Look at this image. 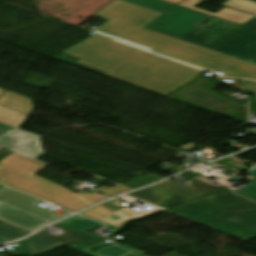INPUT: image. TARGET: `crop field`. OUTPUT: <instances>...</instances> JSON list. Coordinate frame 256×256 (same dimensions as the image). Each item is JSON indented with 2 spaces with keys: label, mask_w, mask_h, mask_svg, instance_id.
<instances>
[{
  "label": "crop field",
  "mask_w": 256,
  "mask_h": 256,
  "mask_svg": "<svg viewBox=\"0 0 256 256\" xmlns=\"http://www.w3.org/2000/svg\"><path fill=\"white\" fill-rule=\"evenodd\" d=\"M63 53L81 58L78 63L108 72L104 76L163 96L206 71L98 34Z\"/></svg>",
  "instance_id": "1"
},
{
  "label": "crop field",
  "mask_w": 256,
  "mask_h": 256,
  "mask_svg": "<svg viewBox=\"0 0 256 256\" xmlns=\"http://www.w3.org/2000/svg\"><path fill=\"white\" fill-rule=\"evenodd\" d=\"M160 13L115 0L95 16L110 20L95 32L229 76L256 80V65L144 29Z\"/></svg>",
  "instance_id": "2"
},
{
  "label": "crop field",
  "mask_w": 256,
  "mask_h": 256,
  "mask_svg": "<svg viewBox=\"0 0 256 256\" xmlns=\"http://www.w3.org/2000/svg\"><path fill=\"white\" fill-rule=\"evenodd\" d=\"M210 16L176 5L146 27L246 61L256 58V30L218 18L197 26Z\"/></svg>",
  "instance_id": "3"
},
{
  "label": "crop field",
  "mask_w": 256,
  "mask_h": 256,
  "mask_svg": "<svg viewBox=\"0 0 256 256\" xmlns=\"http://www.w3.org/2000/svg\"><path fill=\"white\" fill-rule=\"evenodd\" d=\"M167 210L244 240L256 237V203L232 192L211 194Z\"/></svg>",
  "instance_id": "4"
},
{
  "label": "crop field",
  "mask_w": 256,
  "mask_h": 256,
  "mask_svg": "<svg viewBox=\"0 0 256 256\" xmlns=\"http://www.w3.org/2000/svg\"><path fill=\"white\" fill-rule=\"evenodd\" d=\"M47 165L18 154H11L0 161V182L51 202L78 211L104 199L102 195L75 194L46 180L33 176Z\"/></svg>",
  "instance_id": "5"
},
{
  "label": "crop field",
  "mask_w": 256,
  "mask_h": 256,
  "mask_svg": "<svg viewBox=\"0 0 256 256\" xmlns=\"http://www.w3.org/2000/svg\"><path fill=\"white\" fill-rule=\"evenodd\" d=\"M126 204L120 205L117 200H110L81 214L97 219L103 223L114 227H121L122 224L133 218L146 216L145 214L125 207Z\"/></svg>",
  "instance_id": "6"
},
{
  "label": "crop field",
  "mask_w": 256,
  "mask_h": 256,
  "mask_svg": "<svg viewBox=\"0 0 256 256\" xmlns=\"http://www.w3.org/2000/svg\"><path fill=\"white\" fill-rule=\"evenodd\" d=\"M0 200L55 221L59 218L67 216L71 213L65 212L61 215H58L54 212H51L47 209H44L36 204L42 202L32 196L26 195L24 193L18 192L16 190L10 189L8 187L0 188Z\"/></svg>",
  "instance_id": "7"
},
{
  "label": "crop field",
  "mask_w": 256,
  "mask_h": 256,
  "mask_svg": "<svg viewBox=\"0 0 256 256\" xmlns=\"http://www.w3.org/2000/svg\"><path fill=\"white\" fill-rule=\"evenodd\" d=\"M0 145L34 159L43 154L39 138L19 130L0 137Z\"/></svg>",
  "instance_id": "8"
},
{
  "label": "crop field",
  "mask_w": 256,
  "mask_h": 256,
  "mask_svg": "<svg viewBox=\"0 0 256 256\" xmlns=\"http://www.w3.org/2000/svg\"><path fill=\"white\" fill-rule=\"evenodd\" d=\"M0 218L32 232L52 222L2 201H0Z\"/></svg>",
  "instance_id": "9"
},
{
  "label": "crop field",
  "mask_w": 256,
  "mask_h": 256,
  "mask_svg": "<svg viewBox=\"0 0 256 256\" xmlns=\"http://www.w3.org/2000/svg\"><path fill=\"white\" fill-rule=\"evenodd\" d=\"M132 197L147 201L159 207H166L170 204L186 201L188 199L176 194L167 192L158 187H149L144 190L129 194Z\"/></svg>",
  "instance_id": "10"
},
{
  "label": "crop field",
  "mask_w": 256,
  "mask_h": 256,
  "mask_svg": "<svg viewBox=\"0 0 256 256\" xmlns=\"http://www.w3.org/2000/svg\"><path fill=\"white\" fill-rule=\"evenodd\" d=\"M202 1L203 0H184V1L180 2L178 5L185 6V7L191 8V9H195V10H198V11H201V12H204V13H208V14H211V15L216 16L218 18H222V19H225V20L240 23L242 25L246 21L255 17V16H252V15L240 13L238 11H235V10L227 8V7L223 8L222 10H220L219 12H217L215 14L194 7L195 5L199 4Z\"/></svg>",
  "instance_id": "11"
},
{
  "label": "crop field",
  "mask_w": 256,
  "mask_h": 256,
  "mask_svg": "<svg viewBox=\"0 0 256 256\" xmlns=\"http://www.w3.org/2000/svg\"><path fill=\"white\" fill-rule=\"evenodd\" d=\"M0 105L30 115L33 110L31 100L27 97L6 90L0 98Z\"/></svg>",
  "instance_id": "12"
},
{
  "label": "crop field",
  "mask_w": 256,
  "mask_h": 256,
  "mask_svg": "<svg viewBox=\"0 0 256 256\" xmlns=\"http://www.w3.org/2000/svg\"><path fill=\"white\" fill-rule=\"evenodd\" d=\"M53 226L61 229L62 233L59 234V235H56V236L46 235V234H43L41 232H39L37 234L42 235L44 237H47V238H49L51 240H54L56 242H59L61 244H64L66 242H70L72 240H81V241H84V242L89 244V243H93V242L99 240V239H95L93 237L87 236L85 234L79 233L77 231L71 230L69 228L63 227V226L58 225V224H55Z\"/></svg>",
  "instance_id": "13"
},
{
  "label": "crop field",
  "mask_w": 256,
  "mask_h": 256,
  "mask_svg": "<svg viewBox=\"0 0 256 256\" xmlns=\"http://www.w3.org/2000/svg\"><path fill=\"white\" fill-rule=\"evenodd\" d=\"M102 243H104V241L102 242H99L93 246H86L84 244H76V245H73L71 246L72 248L74 249H77L79 251H82L86 254H89L91 256H124V255H127L129 253H131L130 251H127V250H123L115 245H111L107 248H102V249H99L96 253H92L89 249L91 248H95V247H98L100 245H102Z\"/></svg>",
  "instance_id": "14"
},
{
  "label": "crop field",
  "mask_w": 256,
  "mask_h": 256,
  "mask_svg": "<svg viewBox=\"0 0 256 256\" xmlns=\"http://www.w3.org/2000/svg\"><path fill=\"white\" fill-rule=\"evenodd\" d=\"M58 224H61L63 226L69 227L71 229L77 230L79 232L85 233L87 235L93 236L95 238L102 237L100 235H95L93 233L85 231L88 228L91 227H100L102 224L94 222L92 220L86 219L81 216H73L67 220H64Z\"/></svg>",
  "instance_id": "15"
},
{
  "label": "crop field",
  "mask_w": 256,
  "mask_h": 256,
  "mask_svg": "<svg viewBox=\"0 0 256 256\" xmlns=\"http://www.w3.org/2000/svg\"><path fill=\"white\" fill-rule=\"evenodd\" d=\"M26 240L32 253L46 252L57 245H61L37 234L30 236Z\"/></svg>",
  "instance_id": "16"
},
{
  "label": "crop field",
  "mask_w": 256,
  "mask_h": 256,
  "mask_svg": "<svg viewBox=\"0 0 256 256\" xmlns=\"http://www.w3.org/2000/svg\"><path fill=\"white\" fill-rule=\"evenodd\" d=\"M156 186H158L160 188H163L167 191L176 193L178 195L187 197L189 199L195 198V197L203 194V193H200L198 191H195V190L189 189L187 187H184V186H182L178 183H175L173 181H170V180L165 181V182H161V183L157 184Z\"/></svg>",
  "instance_id": "17"
},
{
  "label": "crop field",
  "mask_w": 256,
  "mask_h": 256,
  "mask_svg": "<svg viewBox=\"0 0 256 256\" xmlns=\"http://www.w3.org/2000/svg\"><path fill=\"white\" fill-rule=\"evenodd\" d=\"M27 118L28 115L0 106V121L20 128Z\"/></svg>",
  "instance_id": "18"
},
{
  "label": "crop field",
  "mask_w": 256,
  "mask_h": 256,
  "mask_svg": "<svg viewBox=\"0 0 256 256\" xmlns=\"http://www.w3.org/2000/svg\"><path fill=\"white\" fill-rule=\"evenodd\" d=\"M31 232L18 228L16 226L10 225L3 221H0V236L11 241L19 239Z\"/></svg>",
  "instance_id": "19"
},
{
  "label": "crop field",
  "mask_w": 256,
  "mask_h": 256,
  "mask_svg": "<svg viewBox=\"0 0 256 256\" xmlns=\"http://www.w3.org/2000/svg\"><path fill=\"white\" fill-rule=\"evenodd\" d=\"M127 1L157 12H164L170 7H172L174 4L162 1V0H123Z\"/></svg>",
  "instance_id": "20"
},
{
  "label": "crop field",
  "mask_w": 256,
  "mask_h": 256,
  "mask_svg": "<svg viewBox=\"0 0 256 256\" xmlns=\"http://www.w3.org/2000/svg\"><path fill=\"white\" fill-rule=\"evenodd\" d=\"M184 186L198 190L203 193L211 192V191L229 190V188H225V187H221V186H213V185L205 183L197 178L187 182V184Z\"/></svg>",
  "instance_id": "21"
},
{
  "label": "crop field",
  "mask_w": 256,
  "mask_h": 256,
  "mask_svg": "<svg viewBox=\"0 0 256 256\" xmlns=\"http://www.w3.org/2000/svg\"><path fill=\"white\" fill-rule=\"evenodd\" d=\"M223 5L256 15V2L251 0H228Z\"/></svg>",
  "instance_id": "22"
},
{
  "label": "crop field",
  "mask_w": 256,
  "mask_h": 256,
  "mask_svg": "<svg viewBox=\"0 0 256 256\" xmlns=\"http://www.w3.org/2000/svg\"><path fill=\"white\" fill-rule=\"evenodd\" d=\"M245 178L249 179L250 182L237 191L256 199V178L250 175Z\"/></svg>",
  "instance_id": "23"
},
{
  "label": "crop field",
  "mask_w": 256,
  "mask_h": 256,
  "mask_svg": "<svg viewBox=\"0 0 256 256\" xmlns=\"http://www.w3.org/2000/svg\"><path fill=\"white\" fill-rule=\"evenodd\" d=\"M95 190L99 191L100 193H102V194H104L108 197H112V196L121 194L123 192L129 191V190H132V189L124 187L122 185H119V186H116V187H112L110 189L105 187V186H102V187L97 188Z\"/></svg>",
  "instance_id": "24"
},
{
  "label": "crop field",
  "mask_w": 256,
  "mask_h": 256,
  "mask_svg": "<svg viewBox=\"0 0 256 256\" xmlns=\"http://www.w3.org/2000/svg\"><path fill=\"white\" fill-rule=\"evenodd\" d=\"M241 83L245 84V86L241 87V89L256 93V81L244 80Z\"/></svg>",
  "instance_id": "25"
},
{
  "label": "crop field",
  "mask_w": 256,
  "mask_h": 256,
  "mask_svg": "<svg viewBox=\"0 0 256 256\" xmlns=\"http://www.w3.org/2000/svg\"><path fill=\"white\" fill-rule=\"evenodd\" d=\"M14 130H16V129L0 123V136L7 134L11 131H14Z\"/></svg>",
  "instance_id": "26"
},
{
  "label": "crop field",
  "mask_w": 256,
  "mask_h": 256,
  "mask_svg": "<svg viewBox=\"0 0 256 256\" xmlns=\"http://www.w3.org/2000/svg\"><path fill=\"white\" fill-rule=\"evenodd\" d=\"M119 246H122V247H124V248L130 249V250H132V251H135V252H137V253H139V254H141V255L144 254V252L139 251V250H136V249H134V248H131V247L127 246V245H119ZM166 256H181V255L177 254L176 251H174V252H172V253H170V254H168V255H166Z\"/></svg>",
  "instance_id": "27"
},
{
  "label": "crop field",
  "mask_w": 256,
  "mask_h": 256,
  "mask_svg": "<svg viewBox=\"0 0 256 256\" xmlns=\"http://www.w3.org/2000/svg\"><path fill=\"white\" fill-rule=\"evenodd\" d=\"M244 26L256 29V17L246 22Z\"/></svg>",
  "instance_id": "28"
},
{
  "label": "crop field",
  "mask_w": 256,
  "mask_h": 256,
  "mask_svg": "<svg viewBox=\"0 0 256 256\" xmlns=\"http://www.w3.org/2000/svg\"><path fill=\"white\" fill-rule=\"evenodd\" d=\"M248 174L256 177V166L252 168Z\"/></svg>",
  "instance_id": "29"
},
{
  "label": "crop field",
  "mask_w": 256,
  "mask_h": 256,
  "mask_svg": "<svg viewBox=\"0 0 256 256\" xmlns=\"http://www.w3.org/2000/svg\"><path fill=\"white\" fill-rule=\"evenodd\" d=\"M105 229H108V230L113 231V232L117 231V229H115V228H113V227H111V226H109V225H107V226L105 227Z\"/></svg>",
  "instance_id": "30"
},
{
  "label": "crop field",
  "mask_w": 256,
  "mask_h": 256,
  "mask_svg": "<svg viewBox=\"0 0 256 256\" xmlns=\"http://www.w3.org/2000/svg\"><path fill=\"white\" fill-rule=\"evenodd\" d=\"M4 242H10V241L0 237V243H4Z\"/></svg>",
  "instance_id": "31"
},
{
  "label": "crop field",
  "mask_w": 256,
  "mask_h": 256,
  "mask_svg": "<svg viewBox=\"0 0 256 256\" xmlns=\"http://www.w3.org/2000/svg\"><path fill=\"white\" fill-rule=\"evenodd\" d=\"M3 91H4V89H1V88H0V95L3 93Z\"/></svg>",
  "instance_id": "32"
},
{
  "label": "crop field",
  "mask_w": 256,
  "mask_h": 256,
  "mask_svg": "<svg viewBox=\"0 0 256 256\" xmlns=\"http://www.w3.org/2000/svg\"><path fill=\"white\" fill-rule=\"evenodd\" d=\"M255 99H256V97H255Z\"/></svg>",
  "instance_id": "33"
}]
</instances>
